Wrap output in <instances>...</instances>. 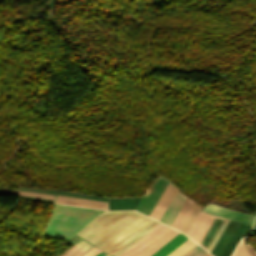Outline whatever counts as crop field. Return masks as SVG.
<instances>
[{"instance_id":"obj_1","label":"crop field","mask_w":256,"mask_h":256,"mask_svg":"<svg viewBox=\"0 0 256 256\" xmlns=\"http://www.w3.org/2000/svg\"><path fill=\"white\" fill-rule=\"evenodd\" d=\"M139 216L135 211H104L76 234L100 248Z\"/></svg>"},{"instance_id":"obj_2","label":"crop field","mask_w":256,"mask_h":256,"mask_svg":"<svg viewBox=\"0 0 256 256\" xmlns=\"http://www.w3.org/2000/svg\"><path fill=\"white\" fill-rule=\"evenodd\" d=\"M101 212L103 211L55 204L42 235L68 240Z\"/></svg>"},{"instance_id":"obj_3","label":"crop field","mask_w":256,"mask_h":256,"mask_svg":"<svg viewBox=\"0 0 256 256\" xmlns=\"http://www.w3.org/2000/svg\"><path fill=\"white\" fill-rule=\"evenodd\" d=\"M150 221H152V219L142 215L100 249L110 255L128 239L135 235L139 230L146 226Z\"/></svg>"},{"instance_id":"obj_4","label":"crop field","mask_w":256,"mask_h":256,"mask_svg":"<svg viewBox=\"0 0 256 256\" xmlns=\"http://www.w3.org/2000/svg\"><path fill=\"white\" fill-rule=\"evenodd\" d=\"M163 178V177H162ZM159 177L146 191L141 202L137 207V211L149 216L154 205L162 194L167 183L164 179Z\"/></svg>"},{"instance_id":"obj_5","label":"crop field","mask_w":256,"mask_h":256,"mask_svg":"<svg viewBox=\"0 0 256 256\" xmlns=\"http://www.w3.org/2000/svg\"><path fill=\"white\" fill-rule=\"evenodd\" d=\"M167 229H169V227L159 223L148 233H146L143 237H141L138 241H136L133 245H131L128 249H126L123 253H121L119 256H136L145 247L152 243L156 238L163 234Z\"/></svg>"},{"instance_id":"obj_6","label":"crop field","mask_w":256,"mask_h":256,"mask_svg":"<svg viewBox=\"0 0 256 256\" xmlns=\"http://www.w3.org/2000/svg\"><path fill=\"white\" fill-rule=\"evenodd\" d=\"M214 218L215 215L200 212L186 235L199 244Z\"/></svg>"},{"instance_id":"obj_7","label":"crop field","mask_w":256,"mask_h":256,"mask_svg":"<svg viewBox=\"0 0 256 256\" xmlns=\"http://www.w3.org/2000/svg\"><path fill=\"white\" fill-rule=\"evenodd\" d=\"M202 211L208 212V213H211V214H215V215H218V216H222V217H225V218H229V219H232V220H236V221H239V222H243V223H246V224H250V225L252 224L253 219L255 217L253 215L228 210V209H225L223 207H220V206H217V205H214V204H211V203H209L206 207H204Z\"/></svg>"},{"instance_id":"obj_8","label":"crop field","mask_w":256,"mask_h":256,"mask_svg":"<svg viewBox=\"0 0 256 256\" xmlns=\"http://www.w3.org/2000/svg\"><path fill=\"white\" fill-rule=\"evenodd\" d=\"M238 225L239 222L229 220L228 224L226 225L210 253L215 256H220Z\"/></svg>"},{"instance_id":"obj_9","label":"crop field","mask_w":256,"mask_h":256,"mask_svg":"<svg viewBox=\"0 0 256 256\" xmlns=\"http://www.w3.org/2000/svg\"><path fill=\"white\" fill-rule=\"evenodd\" d=\"M185 196H183L178 190L174 197L172 198L171 202L169 203L168 207L166 208L165 212L161 216V222L170 226L171 222L173 221L175 215L177 214L178 210L180 209L182 203L185 200Z\"/></svg>"},{"instance_id":"obj_10","label":"crop field","mask_w":256,"mask_h":256,"mask_svg":"<svg viewBox=\"0 0 256 256\" xmlns=\"http://www.w3.org/2000/svg\"><path fill=\"white\" fill-rule=\"evenodd\" d=\"M176 190L177 189H175L172 185H170L168 183V185L165 188L163 194L161 195V197L158 200L157 204L155 205L153 211L151 212L150 217L159 220L160 216L164 212L165 208L167 207L171 198L175 194Z\"/></svg>"},{"instance_id":"obj_11","label":"crop field","mask_w":256,"mask_h":256,"mask_svg":"<svg viewBox=\"0 0 256 256\" xmlns=\"http://www.w3.org/2000/svg\"><path fill=\"white\" fill-rule=\"evenodd\" d=\"M56 202L107 209V202H104V201L82 199V198H75V197H68V196H61V195H58Z\"/></svg>"},{"instance_id":"obj_12","label":"crop field","mask_w":256,"mask_h":256,"mask_svg":"<svg viewBox=\"0 0 256 256\" xmlns=\"http://www.w3.org/2000/svg\"><path fill=\"white\" fill-rule=\"evenodd\" d=\"M176 234H178V232L170 228L167 232H165L162 236H160L137 256H151L160 247H162L165 243L172 239Z\"/></svg>"},{"instance_id":"obj_13","label":"crop field","mask_w":256,"mask_h":256,"mask_svg":"<svg viewBox=\"0 0 256 256\" xmlns=\"http://www.w3.org/2000/svg\"><path fill=\"white\" fill-rule=\"evenodd\" d=\"M140 197L109 198V210L135 209Z\"/></svg>"},{"instance_id":"obj_14","label":"crop field","mask_w":256,"mask_h":256,"mask_svg":"<svg viewBox=\"0 0 256 256\" xmlns=\"http://www.w3.org/2000/svg\"><path fill=\"white\" fill-rule=\"evenodd\" d=\"M195 204L196 203H194L186 198L181 209L179 210L178 214L176 215L174 221L172 222L171 227L180 230V228L182 227L183 223L187 219L188 215L192 211Z\"/></svg>"},{"instance_id":"obj_15","label":"crop field","mask_w":256,"mask_h":256,"mask_svg":"<svg viewBox=\"0 0 256 256\" xmlns=\"http://www.w3.org/2000/svg\"><path fill=\"white\" fill-rule=\"evenodd\" d=\"M250 228L251 226L240 223L239 227L237 228L236 232L232 236L231 240L229 241L228 245L226 246L221 256H230L236 244L238 243L239 239L244 235L248 234Z\"/></svg>"},{"instance_id":"obj_16","label":"crop field","mask_w":256,"mask_h":256,"mask_svg":"<svg viewBox=\"0 0 256 256\" xmlns=\"http://www.w3.org/2000/svg\"><path fill=\"white\" fill-rule=\"evenodd\" d=\"M187 239H188L187 237L179 233L167 244H165L162 248H160L156 253H154L152 256H167L170 252H172L175 248H177L180 244H182Z\"/></svg>"},{"instance_id":"obj_17","label":"crop field","mask_w":256,"mask_h":256,"mask_svg":"<svg viewBox=\"0 0 256 256\" xmlns=\"http://www.w3.org/2000/svg\"><path fill=\"white\" fill-rule=\"evenodd\" d=\"M223 221L224 218L216 216L215 220L211 224L210 228L206 232L205 236L203 237L199 245L206 249V247L210 243L211 239L213 238V236L215 235Z\"/></svg>"},{"instance_id":"obj_18","label":"crop field","mask_w":256,"mask_h":256,"mask_svg":"<svg viewBox=\"0 0 256 256\" xmlns=\"http://www.w3.org/2000/svg\"><path fill=\"white\" fill-rule=\"evenodd\" d=\"M158 222L152 221L146 227H144L141 231H139L135 236H133L130 240H128L124 245H122L119 249H117L110 256H118L121 252H123L126 248H128L131 244H133L136 240H138L141 236H143L146 232H148L151 228H153Z\"/></svg>"},{"instance_id":"obj_19","label":"crop field","mask_w":256,"mask_h":256,"mask_svg":"<svg viewBox=\"0 0 256 256\" xmlns=\"http://www.w3.org/2000/svg\"><path fill=\"white\" fill-rule=\"evenodd\" d=\"M201 209H202V207L196 204V206L194 207L193 211L189 215L188 219L186 220V222L184 223V225H183V227L181 228L180 231H182L183 233L186 234V232L188 231V229L192 225L193 221L195 220V218L197 217V215L199 214Z\"/></svg>"},{"instance_id":"obj_20","label":"crop field","mask_w":256,"mask_h":256,"mask_svg":"<svg viewBox=\"0 0 256 256\" xmlns=\"http://www.w3.org/2000/svg\"><path fill=\"white\" fill-rule=\"evenodd\" d=\"M195 245L196 244H194L192 241L188 239L182 245H180L177 249H175L172 253H170L168 256H182Z\"/></svg>"},{"instance_id":"obj_21","label":"crop field","mask_w":256,"mask_h":256,"mask_svg":"<svg viewBox=\"0 0 256 256\" xmlns=\"http://www.w3.org/2000/svg\"><path fill=\"white\" fill-rule=\"evenodd\" d=\"M4 193L21 194V195H28V196L49 198V199H52V197H53V195H49V194H40V193H32V192H23V191H15V190H7V189H4Z\"/></svg>"},{"instance_id":"obj_22","label":"crop field","mask_w":256,"mask_h":256,"mask_svg":"<svg viewBox=\"0 0 256 256\" xmlns=\"http://www.w3.org/2000/svg\"><path fill=\"white\" fill-rule=\"evenodd\" d=\"M86 244H88V243H86L84 240L81 239L80 241H78L76 244H74L72 247H70L68 250H66L64 253H62L59 256H69L72 253H74L75 251H77L78 249L85 246Z\"/></svg>"},{"instance_id":"obj_23","label":"crop field","mask_w":256,"mask_h":256,"mask_svg":"<svg viewBox=\"0 0 256 256\" xmlns=\"http://www.w3.org/2000/svg\"><path fill=\"white\" fill-rule=\"evenodd\" d=\"M204 254H206V252L203 249H201L198 245H196L183 256H203Z\"/></svg>"},{"instance_id":"obj_24","label":"crop field","mask_w":256,"mask_h":256,"mask_svg":"<svg viewBox=\"0 0 256 256\" xmlns=\"http://www.w3.org/2000/svg\"><path fill=\"white\" fill-rule=\"evenodd\" d=\"M228 220L225 219V221L223 222V224L221 225L220 229L218 230V232L216 233V235L214 236V238L212 239L211 243L209 244V246L207 247L206 250H208L210 252L211 248L213 247L214 243L216 242L217 238L219 237V235L221 234L222 230L224 229L225 225L227 224Z\"/></svg>"},{"instance_id":"obj_25","label":"crop field","mask_w":256,"mask_h":256,"mask_svg":"<svg viewBox=\"0 0 256 256\" xmlns=\"http://www.w3.org/2000/svg\"><path fill=\"white\" fill-rule=\"evenodd\" d=\"M233 256H249L244 248L243 239L239 246L237 247L236 251L234 252Z\"/></svg>"},{"instance_id":"obj_26","label":"crop field","mask_w":256,"mask_h":256,"mask_svg":"<svg viewBox=\"0 0 256 256\" xmlns=\"http://www.w3.org/2000/svg\"><path fill=\"white\" fill-rule=\"evenodd\" d=\"M91 248H93V246L88 244L87 246H85L84 248H82L81 250H79L78 252H76L75 254H73L71 256H80L83 253H85L86 251L90 250Z\"/></svg>"},{"instance_id":"obj_27","label":"crop field","mask_w":256,"mask_h":256,"mask_svg":"<svg viewBox=\"0 0 256 256\" xmlns=\"http://www.w3.org/2000/svg\"><path fill=\"white\" fill-rule=\"evenodd\" d=\"M101 252V251H100ZM104 255H106V254H104V253H99V254H97L96 256H104Z\"/></svg>"},{"instance_id":"obj_28","label":"crop field","mask_w":256,"mask_h":256,"mask_svg":"<svg viewBox=\"0 0 256 256\" xmlns=\"http://www.w3.org/2000/svg\"><path fill=\"white\" fill-rule=\"evenodd\" d=\"M205 256H211V255H209V254L207 253Z\"/></svg>"},{"instance_id":"obj_29","label":"crop field","mask_w":256,"mask_h":256,"mask_svg":"<svg viewBox=\"0 0 256 256\" xmlns=\"http://www.w3.org/2000/svg\"><path fill=\"white\" fill-rule=\"evenodd\" d=\"M107 256V255H106Z\"/></svg>"}]
</instances>
